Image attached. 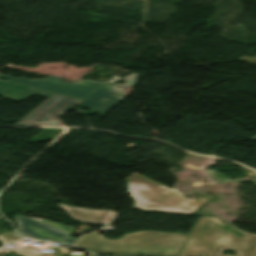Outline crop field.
<instances>
[{"mask_svg":"<svg viewBox=\"0 0 256 256\" xmlns=\"http://www.w3.org/2000/svg\"><path fill=\"white\" fill-rule=\"evenodd\" d=\"M119 93L120 89L104 83L78 105L106 113L123 100Z\"/></svg>","mask_w":256,"mask_h":256,"instance_id":"obj_7","label":"crop field"},{"mask_svg":"<svg viewBox=\"0 0 256 256\" xmlns=\"http://www.w3.org/2000/svg\"><path fill=\"white\" fill-rule=\"evenodd\" d=\"M11 245L14 246V247L11 248V249L17 248V247L19 246V244H17V243H14V244H11ZM5 250H10V249H5Z\"/></svg>","mask_w":256,"mask_h":256,"instance_id":"obj_14","label":"crop field"},{"mask_svg":"<svg viewBox=\"0 0 256 256\" xmlns=\"http://www.w3.org/2000/svg\"><path fill=\"white\" fill-rule=\"evenodd\" d=\"M126 181L128 193L135 200L134 207L145 212L189 214L205 203L203 199L189 201L182 198L164 185L136 172Z\"/></svg>","mask_w":256,"mask_h":256,"instance_id":"obj_2","label":"crop field"},{"mask_svg":"<svg viewBox=\"0 0 256 256\" xmlns=\"http://www.w3.org/2000/svg\"><path fill=\"white\" fill-rule=\"evenodd\" d=\"M34 94L44 96L47 98L53 95V93H49L46 91L38 90L35 88L0 79V96L2 97L0 98V100L8 98L20 101Z\"/></svg>","mask_w":256,"mask_h":256,"instance_id":"obj_9","label":"crop field"},{"mask_svg":"<svg viewBox=\"0 0 256 256\" xmlns=\"http://www.w3.org/2000/svg\"><path fill=\"white\" fill-rule=\"evenodd\" d=\"M186 236L167 233L155 256H176Z\"/></svg>","mask_w":256,"mask_h":256,"instance_id":"obj_10","label":"crop field"},{"mask_svg":"<svg viewBox=\"0 0 256 256\" xmlns=\"http://www.w3.org/2000/svg\"><path fill=\"white\" fill-rule=\"evenodd\" d=\"M19 238L21 237L15 234L14 232H7V233L0 234V240L2 241L3 245Z\"/></svg>","mask_w":256,"mask_h":256,"instance_id":"obj_13","label":"crop field"},{"mask_svg":"<svg viewBox=\"0 0 256 256\" xmlns=\"http://www.w3.org/2000/svg\"><path fill=\"white\" fill-rule=\"evenodd\" d=\"M18 254L20 255H25V256H52V253H41L36 250L24 247L18 250H15Z\"/></svg>","mask_w":256,"mask_h":256,"instance_id":"obj_12","label":"crop field"},{"mask_svg":"<svg viewBox=\"0 0 256 256\" xmlns=\"http://www.w3.org/2000/svg\"><path fill=\"white\" fill-rule=\"evenodd\" d=\"M59 207L67 211L70 217L92 224L109 225L117 215V212L112 210L98 211L82 208H71L62 204H60Z\"/></svg>","mask_w":256,"mask_h":256,"instance_id":"obj_8","label":"crop field"},{"mask_svg":"<svg viewBox=\"0 0 256 256\" xmlns=\"http://www.w3.org/2000/svg\"><path fill=\"white\" fill-rule=\"evenodd\" d=\"M165 234L156 231H139L125 234L117 240H107L98 234H90L81 238L77 245L98 254L154 256Z\"/></svg>","mask_w":256,"mask_h":256,"instance_id":"obj_3","label":"crop field"},{"mask_svg":"<svg viewBox=\"0 0 256 256\" xmlns=\"http://www.w3.org/2000/svg\"><path fill=\"white\" fill-rule=\"evenodd\" d=\"M18 224V233L36 239L49 241H61L74 244L77 239L66 237L73 228L50 222L47 220L37 221L25 216H14Z\"/></svg>","mask_w":256,"mask_h":256,"instance_id":"obj_6","label":"crop field"},{"mask_svg":"<svg viewBox=\"0 0 256 256\" xmlns=\"http://www.w3.org/2000/svg\"><path fill=\"white\" fill-rule=\"evenodd\" d=\"M1 78L38 87L41 89H45L51 92L83 99L86 97L92 90L103 84L104 82H96L92 80H82L76 83H66L62 82L60 78L57 77H47L43 79L30 80L23 77L14 78L7 75L0 74Z\"/></svg>","mask_w":256,"mask_h":256,"instance_id":"obj_4","label":"crop field"},{"mask_svg":"<svg viewBox=\"0 0 256 256\" xmlns=\"http://www.w3.org/2000/svg\"><path fill=\"white\" fill-rule=\"evenodd\" d=\"M225 249H234L237 256H256V235L215 217H199L179 256H229L220 254Z\"/></svg>","mask_w":256,"mask_h":256,"instance_id":"obj_1","label":"crop field"},{"mask_svg":"<svg viewBox=\"0 0 256 256\" xmlns=\"http://www.w3.org/2000/svg\"><path fill=\"white\" fill-rule=\"evenodd\" d=\"M137 76H139V75H137V74H135V73L129 74V75H127L126 77H124L125 80H126V84H117V85H124V86L134 87L135 84H136V81H134V80H135V78H136ZM119 79H120V77H118V76H113L112 80L107 81L106 83L112 84L113 82H115V81H117V80H119Z\"/></svg>","mask_w":256,"mask_h":256,"instance_id":"obj_11","label":"crop field"},{"mask_svg":"<svg viewBox=\"0 0 256 256\" xmlns=\"http://www.w3.org/2000/svg\"><path fill=\"white\" fill-rule=\"evenodd\" d=\"M80 100L54 94L15 125L58 126L55 122Z\"/></svg>","mask_w":256,"mask_h":256,"instance_id":"obj_5","label":"crop field"}]
</instances>
